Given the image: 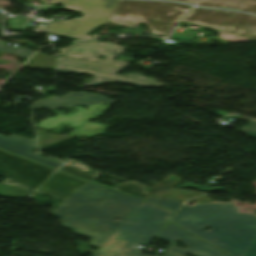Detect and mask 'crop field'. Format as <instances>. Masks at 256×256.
<instances>
[{"label":"crop field","mask_w":256,"mask_h":256,"mask_svg":"<svg viewBox=\"0 0 256 256\" xmlns=\"http://www.w3.org/2000/svg\"><path fill=\"white\" fill-rule=\"evenodd\" d=\"M59 170L93 181L100 173L91 171L87 166L68 159Z\"/></svg>","instance_id":"14"},{"label":"crop field","mask_w":256,"mask_h":256,"mask_svg":"<svg viewBox=\"0 0 256 256\" xmlns=\"http://www.w3.org/2000/svg\"><path fill=\"white\" fill-rule=\"evenodd\" d=\"M183 22L256 40V16L196 8Z\"/></svg>","instance_id":"8"},{"label":"crop field","mask_w":256,"mask_h":256,"mask_svg":"<svg viewBox=\"0 0 256 256\" xmlns=\"http://www.w3.org/2000/svg\"><path fill=\"white\" fill-rule=\"evenodd\" d=\"M37 169L38 171H34ZM54 169L0 150V195L14 197L36 190Z\"/></svg>","instance_id":"7"},{"label":"crop field","mask_w":256,"mask_h":256,"mask_svg":"<svg viewBox=\"0 0 256 256\" xmlns=\"http://www.w3.org/2000/svg\"><path fill=\"white\" fill-rule=\"evenodd\" d=\"M10 21V29H21L25 26L26 20L22 17L11 18Z\"/></svg>","instance_id":"21"},{"label":"crop field","mask_w":256,"mask_h":256,"mask_svg":"<svg viewBox=\"0 0 256 256\" xmlns=\"http://www.w3.org/2000/svg\"><path fill=\"white\" fill-rule=\"evenodd\" d=\"M36 147L35 141L19 136L4 137L0 135V149L36 161L38 163L57 169L61 163L31 153Z\"/></svg>","instance_id":"12"},{"label":"crop field","mask_w":256,"mask_h":256,"mask_svg":"<svg viewBox=\"0 0 256 256\" xmlns=\"http://www.w3.org/2000/svg\"><path fill=\"white\" fill-rule=\"evenodd\" d=\"M142 202L87 182L51 214L65 219L63 225L91 237L90 244L100 247Z\"/></svg>","instance_id":"2"},{"label":"crop field","mask_w":256,"mask_h":256,"mask_svg":"<svg viewBox=\"0 0 256 256\" xmlns=\"http://www.w3.org/2000/svg\"><path fill=\"white\" fill-rule=\"evenodd\" d=\"M125 49L126 47L107 42H77L71 47L56 50L61 51V55L63 56L125 68L127 65H129L128 62L113 60L114 57L118 56ZM105 50H109V52H106ZM114 51H117V53ZM99 54L104 55L106 59H97L96 57Z\"/></svg>","instance_id":"10"},{"label":"crop field","mask_w":256,"mask_h":256,"mask_svg":"<svg viewBox=\"0 0 256 256\" xmlns=\"http://www.w3.org/2000/svg\"><path fill=\"white\" fill-rule=\"evenodd\" d=\"M40 1H44L45 2L46 0H40Z\"/></svg>","instance_id":"24"},{"label":"crop field","mask_w":256,"mask_h":256,"mask_svg":"<svg viewBox=\"0 0 256 256\" xmlns=\"http://www.w3.org/2000/svg\"><path fill=\"white\" fill-rule=\"evenodd\" d=\"M56 1H57V0H49L48 2H49V3H53V4H55V3H56Z\"/></svg>","instance_id":"23"},{"label":"crop field","mask_w":256,"mask_h":256,"mask_svg":"<svg viewBox=\"0 0 256 256\" xmlns=\"http://www.w3.org/2000/svg\"><path fill=\"white\" fill-rule=\"evenodd\" d=\"M172 213L144 201L92 256H149L141 254L137 245L149 243ZM157 237L171 242L163 256H230L171 223ZM177 239L190 248H177Z\"/></svg>","instance_id":"1"},{"label":"crop field","mask_w":256,"mask_h":256,"mask_svg":"<svg viewBox=\"0 0 256 256\" xmlns=\"http://www.w3.org/2000/svg\"><path fill=\"white\" fill-rule=\"evenodd\" d=\"M239 119L250 122V125L243 128L242 132L248 134L250 137L256 138V119L245 117H240Z\"/></svg>","instance_id":"20"},{"label":"crop field","mask_w":256,"mask_h":256,"mask_svg":"<svg viewBox=\"0 0 256 256\" xmlns=\"http://www.w3.org/2000/svg\"><path fill=\"white\" fill-rule=\"evenodd\" d=\"M0 51L1 52H9V53L17 55L21 58H24V59H28L33 54V52H30L29 50H27L23 47H20L19 49H13V48L6 47L3 45H0Z\"/></svg>","instance_id":"19"},{"label":"crop field","mask_w":256,"mask_h":256,"mask_svg":"<svg viewBox=\"0 0 256 256\" xmlns=\"http://www.w3.org/2000/svg\"><path fill=\"white\" fill-rule=\"evenodd\" d=\"M102 103H105L107 105L108 104L112 105L114 102L100 95L69 92L63 97L52 96L40 102H35L32 108L38 109L40 107H43L47 109H53L57 106L71 107L73 105H80V104L87 105L88 106L87 111L81 110V112H79L78 110L76 113L71 114V116L56 115L55 118H47L44 121H40V123L36 126H41V127L51 129L52 127H57L60 123L70 124L71 126L76 127L75 130L70 135L76 134V135H82V136H94L98 134H104L106 127L88 123L86 121L88 118H93L98 115H101L108 109L107 105L100 106ZM73 120L74 122H72ZM67 121H69V123ZM43 123L44 125H42ZM86 125H88V127H86ZM96 127H98V129L100 130L98 131Z\"/></svg>","instance_id":"5"},{"label":"crop field","mask_w":256,"mask_h":256,"mask_svg":"<svg viewBox=\"0 0 256 256\" xmlns=\"http://www.w3.org/2000/svg\"><path fill=\"white\" fill-rule=\"evenodd\" d=\"M122 68L96 64L77 59L60 56L58 71L68 73L88 72L94 76L93 79L87 81L83 86H96L104 83L124 82L141 87H159L162 84L151 78H146L138 73L120 76L116 74Z\"/></svg>","instance_id":"9"},{"label":"crop field","mask_w":256,"mask_h":256,"mask_svg":"<svg viewBox=\"0 0 256 256\" xmlns=\"http://www.w3.org/2000/svg\"><path fill=\"white\" fill-rule=\"evenodd\" d=\"M191 8L192 6L170 2L119 0L109 21L129 27L145 22L152 33L166 37Z\"/></svg>","instance_id":"4"},{"label":"crop field","mask_w":256,"mask_h":256,"mask_svg":"<svg viewBox=\"0 0 256 256\" xmlns=\"http://www.w3.org/2000/svg\"><path fill=\"white\" fill-rule=\"evenodd\" d=\"M245 256H256V239L245 254Z\"/></svg>","instance_id":"22"},{"label":"crop field","mask_w":256,"mask_h":256,"mask_svg":"<svg viewBox=\"0 0 256 256\" xmlns=\"http://www.w3.org/2000/svg\"><path fill=\"white\" fill-rule=\"evenodd\" d=\"M84 183L86 181L56 171L36 193L65 200Z\"/></svg>","instance_id":"11"},{"label":"crop field","mask_w":256,"mask_h":256,"mask_svg":"<svg viewBox=\"0 0 256 256\" xmlns=\"http://www.w3.org/2000/svg\"><path fill=\"white\" fill-rule=\"evenodd\" d=\"M200 6L234 8L256 14V0H177Z\"/></svg>","instance_id":"13"},{"label":"crop field","mask_w":256,"mask_h":256,"mask_svg":"<svg viewBox=\"0 0 256 256\" xmlns=\"http://www.w3.org/2000/svg\"><path fill=\"white\" fill-rule=\"evenodd\" d=\"M37 134H38L39 147H42V148H45L47 146H50L52 144H55L57 142H60L62 140H65L71 137V136L62 137L59 134L44 133V132H37ZM52 138H54V140H52Z\"/></svg>","instance_id":"17"},{"label":"crop field","mask_w":256,"mask_h":256,"mask_svg":"<svg viewBox=\"0 0 256 256\" xmlns=\"http://www.w3.org/2000/svg\"><path fill=\"white\" fill-rule=\"evenodd\" d=\"M147 201H150V202L158 204L160 206L169 208L174 211H176L177 208L181 205L180 201L172 199V198L153 199L151 197H148Z\"/></svg>","instance_id":"18"},{"label":"crop field","mask_w":256,"mask_h":256,"mask_svg":"<svg viewBox=\"0 0 256 256\" xmlns=\"http://www.w3.org/2000/svg\"><path fill=\"white\" fill-rule=\"evenodd\" d=\"M55 58L42 53H36L24 66L28 68L54 69Z\"/></svg>","instance_id":"15"},{"label":"crop field","mask_w":256,"mask_h":256,"mask_svg":"<svg viewBox=\"0 0 256 256\" xmlns=\"http://www.w3.org/2000/svg\"><path fill=\"white\" fill-rule=\"evenodd\" d=\"M113 189L136 196V197L144 199V200H146V198L149 196L145 192V188L135 182L121 183V184L114 186Z\"/></svg>","instance_id":"16"},{"label":"crop field","mask_w":256,"mask_h":256,"mask_svg":"<svg viewBox=\"0 0 256 256\" xmlns=\"http://www.w3.org/2000/svg\"><path fill=\"white\" fill-rule=\"evenodd\" d=\"M238 209L230 202L183 206L171 222L233 256H244L256 237V215ZM202 226H211V231Z\"/></svg>","instance_id":"3"},{"label":"crop field","mask_w":256,"mask_h":256,"mask_svg":"<svg viewBox=\"0 0 256 256\" xmlns=\"http://www.w3.org/2000/svg\"><path fill=\"white\" fill-rule=\"evenodd\" d=\"M118 0H60L63 9L78 11L79 19L53 22L45 27L47 33L59 34L74 39H93L100 35L86 36L98 26L107 23Z\"/></svg>","instance_id":"6"}]
</instances>
